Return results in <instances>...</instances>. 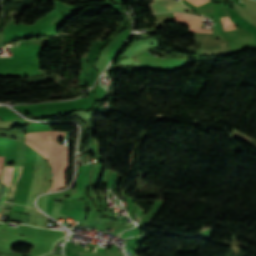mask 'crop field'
Returning <instances> with one entry per match:
<instances>
[{
	"mask_svg": "<svg viewBox=\"0 0 256 256\" xmlns=\"http://www.w3.org/2000/svg\"><path fill=\"white\" fill-rule=\"evenodd\" d=\"M187 1H189L192 4L198 6V5H200L202 3H205L209 0H187ZM222 22H223L224 27L230 26V25H233V26L235 25L234 23H232L230 21L229 18L223 19ZM232 29H233L232 26L224 28L225 31L232 30ZM194 33L196 35L195 40L197 41L198 44H230L226 40H220V41L217 42L214 38H212V33H206V32H194Z\"/></svg>",
	"mask_w": 256,
	"mask_h": 256,
	"instance_id": "8a807250",
	"label": "crop field"
},
{
	"mask_svg": "<svg viewBox=\"0 0 256 256\" xmlns=\"http://www.w3.org/2000/svg\"><path fill=\"white\" fill-rule=\"evenodd\" d=\"M155 3L149 4L152 7V11L155 13L165 12V11H182L184 12V7L180 1L174 0H154Z\"/></svg>",
	"mask_w": 256,
	"mask_h": 256,
	"instance_id": "ac0d7876",
	"label": "crop field"
},
{
	"mask_svg": "<svg viewBox=\"0 0 256 256\" xmlns=\"http://www.w3.org/2000/svg\"><path fill=\"white\" fill-rule=\"evenodd\" d=\"M202 27V26H201ZM203 28V27H202Z\"/></svg>",
	"mask_w": 256,
	"mask_h": 256,
	"instance_id": "34b2d1b8",
	"label": "crop field"
}]
</instances>
